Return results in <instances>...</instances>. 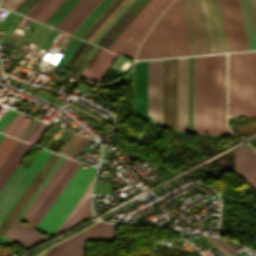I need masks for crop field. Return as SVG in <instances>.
Listing matches in <instances>:
<instances>
[{
    "instance_id": "obj_40",
    "label": "crop field",
    "mask_w": 256,
    "mask_h": 256,
    "mask_svg": "<svg viewBox=\"0 0 256 256\" xmlns=\"http://www.w3.org/2000/svg\"><path fill=\"white\" fill-rule=\"evenodd\" d=\"M90 186H91V183L87 189V191L85 192L84 196L82 199L79 200V202L77 203V205L75 206V208L72 210V212L70 213V215L67 217V219L63 222V224L58 228V230L54 233L57 234L60 232V230L63 228L64 224L66 223V221L70 218V216L77 210V208L83 203V201L86 199V197L89 195V191H90ZM68 222V221H67Z\"/></svg>"
},
{
    "instance_id": "obj_7",
    "label": "crop field",
    "mask_w": 256,
    "mask_h": 256,
    "mask_svg": "<svg viewBox=\"0 0 256 256\" xmlns=\"http://www.w3.org/2000/svg\"><path fill=\"white\" fill-rule=\"evenodd\" d=\"M192 55L212 53L201 0H180Z\"/></svg>"
},
{
    "instance_id": "obj_32",
    "label": "crop field",
    "mask_w": 256,
    "mask_h": 256,
    "mask_svg": "<svg viewBox=\"0 0 256 256\" xmlns=\"http://www.w3.org/2000/svg\"><path fill=\"white\" fill-rule=\"evenodd\" d=\"M49 125L39 122L24 138L23 140L35 144L38 139L46 132Z\"/></svg>"
},
{
    "instance_id": "obj_43",
    "label": "crop field",
    "mask_w": 256,
    "mask_h": 256,
    "mask_svg": "<svg viewBox=\"0 0 256 256\" xmlns=\"http://www.w3.org/2000/svg\"><path fill=\"white\" fill-rule=\"evenodd\" d=\"M18 114V112L12 111L0 124V132H2L5 127L14 119V117Z\"/></svg>"
},
{
    "instance_id": "obj_12",
    "label": "crop field",
    "mask_w": 256,
    "mask_h": 256,
    "mask_svg": "<svg viewBox=\"0 0 256 256\" xmlns=\"http://www.w3.org/2000/svg\"><path fill=\"white\" fill-rule=\"evenodd\" d=\"M177 131L188 132V57L178 58Z\"/></svg>"
},
{
    "instance_id": "obj_14",
    "label": "crop field",
    "mask_w": 256,
    "mask_h": 256,
    "mask_svg": "<svg viewBox=\"0 0 256 256\" xmlns=\"http://www.w3.org/2000/svg\"><path fill=\"white\" fill-rule=\"evenodd\" d=\"M72 162H73V160L64 157V159L61 161V163L56 168L54 173L51 175L49 180L46 182L44 187L41 189L39 194L36 196L34 201L31 203L29 208L26 210L24 215L21 217L20 221H24V222H28V223L31 221L33 216L37 213V211L41 207L44 200L47 198L49 193L55 187L57 182L60 180V178L66 172V170L69 168V166L72 164Z\"/></svg>"
},
{
    "instance_id": "obj_49",
    "label": "crop field",
    "mask_w": 256,
    "mask_h": 256,
    "mask_svg": "<svg viewBox=\"0 0 256 256\" xmlns=\"http://www.w3.org/2000/svg\"><path fill=\"white\" fill-rule=\"evenodd\" d=\"M26 0H22L21 2H20V4L13 10V11H17L19 8H20V6L25 2Z\"/></svg>"
},
{
    "instance_id": "obj_39",
    "label": "crop field",
    "mask_w": 256,
    "mask_h": 256,
    "mask_svg": "<svg viewBox=\"0 0 256 256\" xmlns=\"http://www.w3.org/2000/svg\"><path fill=\"white\" fill-rule=\"evenodd\" d=\"M63 159V156H61V158L58 160V162L56 163V165L53 167V169L51 170V172L48 174V176L46 177V179L43 181V183L41 184V186L38 188V190L36 191V193L33 195V197L31 198V200L28 202V204L26 205V207L23 209V211L20 213V215L18 216L17 220H19V218L22 216V214L25 212V210L28 208V206L30 205V203L33 201V199L35 198V196L38 194V192L40 191V189L43 187V185L45 184V182L48 180V178L50 177V175L53 173V171L55 170V168L58 166V164L60 163V161Z\"/></svg>"
},
{
    "instance_id": "obj_30",
    "label": "crop field",
    "mask_w": 256,
    "mask_h": 256,
    "mask_svg": "<svg viewBox=\"0 0 256 256\" xmlns=\"http://www.w3.org/2000/svg\"><path fill=\"white\" fill-rule=\"evenodd\" d=\"M65 0H51L37 15L35 20L45 23Z\"/></svg>"
},
{
    "instance_id": "obj_35",
    "label": "crop field",
    "mask_w": 256,
    "mask_h": 256,
    "mask_svg": "<svg viewBox=\"0 0 256 256\" xmlns=\"http://www.w3.org/2000/svg\"><path fill=\"white\" fill-rule=\"evenodd\" d=\"M189 132H192V57H189Z\"/></svg>"
},
{
    "instance_id": "obj_18",
    "label": "crop field",
    "mask_w": 256,
    "mask_h": 256,
    "mask_svg": "<svg viewBox=\"0 0 256 256\" xmlns=\"http://www.w3.org/2000/svg\"><path fill=\"white\" fill-rule=\"evenodd\" d=\"M249 50L256 49V0H239Z\"/></svg>"
},
{
    "instance_id": "obj_5",
    "label": "crop field",
    "mask_w": 256,
    "mask_h": 256,
    "mask_svg": "<svg viewBox=\"0 0 256 256\" xmlns=\"http://www.w3.org/2000/svg\"><path fill=\"white\" fill-rule=\"evenodd\" d=\"M171 1L172 0H151L111 44L108 50L133 60L139 44L147 34L151 25Z\"/></svg>"
},
{
    "instance_id": "obj_46",
    "label": "crop field",
    "mask_w": 256,
    "mask_h": 256,
    "mask_svg": "<svg viewBox=\"0 0 256 256\" xmlns=\"http://www.w3.org/2000/svg\"><path fill=\"white\" fill-rule=\"evenodd\" d=\"M38 2V0H32L25 8L24 10L21 12V14L26 15L29 10Z\"/></svg>"
},
{
    "instance_id": "obj_34",
    "label": "crop field",
    "mask_w": 256,
    "mask_h": 256,
    "mask_svg": "<svg viewBox=\"0 0 256 256\" xmlns=\"http://www.w3.org/2000/svg\"><path fill=\"white\" fill-rule=\"evenodd\" d=\"M16 142L17 139L10 138L7 136H5V138L2 140V142L0 143V164Z\"/></svg>"
},
{
    "instance_id": "obj_27",
    "label": "crop field",
    "mask_w": 256,
    "mask_h": 256,
    "mask_svg": "<svg viewBox=\"0 0 256 256\" xmlns=\"http://www.w3.org/2000/svg\"><path fill=\"white\" fill-rule=\"evenodd\" d=\"M90 211V202L89 197L85 200V202L80 206V208L77 210V212L68 220L66 225L64 226V229H67L74 224L82 221L83 219L91 216Z\"/></svg>"
},
{
    "instance_id": "obj_10",
    "label": "crop field",
    "mask_w": 256,
    "mask_h": 256,
    "mask_svg": "<svg viewBox=\"0 0 256 256\" xmlns=\"http://www.w3.org/2000/svg\"><path fill=\"white\" fill-rule=\"evenodd\" d=\"M162 60L148 61V115L161 125Z\"/></svg>"
},
{
    "instance_id": "obj_24",
    "label": "crop field",
    "mask_w": 256,
    "mask_h": 256,
    "mask_svg": "<svg viewBox=\"0 0 256 256\" xmlns=\"http://www.w3.org/2000/svg\"><path fill=\"white\" fill-rule=\"evenodd\" d=\"M115 57H116V54L105 50V52L103 53V55L101 56L97 64L94 66V68L92 69L88 77L100 80V78L103 76V74L105 73V71L107 70V68L112 63Z\"/></svg>"
},
{
    "instance_id": "obj_31",
    "label": "crop field",
    "mask_w": 256,
    "mask_h": 256,
    "mask_svg": "<svg viewBox=\"0 0 256 256\" xmlns=\"http://www.w3.org/2000/svg\"><path fill=\"white\" fill-rule=\"evenodd\" d=\"M86 232H87V229L78 233V234H76V235H74V236H72V237H70V238H68V239H66V240H64V241H62V242H60V243H58V244H56V245H54L53 247L49 248L48 250L44 251L43 253H41L38 256H49L50 254H52V253L62 249L63 247L73 243L74 241L86 236Z\"/></svg>"
},
{
    "instance_id": "obj_21",
    "label": "crop field",
    "mask_w": 256,
    "mask_h": 256,
    "mask_svg": "<svg viewBox=\"0 0 256 256\" xmlns=\"http://www.w3.org/2000/svg\"><path fill=\"white\" fill-rule=\"evenodd\" d=\"M95 0H78L55 28L67 32Z\"/></svg>"
},
{
    "instance_id": "obj_36",
    "label": "crop field",
    "mask_w": 256,
    "mask_h": 256,
    "mask_svg": "<svg viewBox=\"0 0 256 256\" xmlns=\"http://www.w3.org/2000/svg\"><path fill=\"white\" fill-rule=\"evenodd\" d=\"M134 0H129L123 8L114 16V18L105 26V28L96 36V38L92 41V43H96L99 38L108 30V28L117 20V18L126 10V8L133 2Z\"/></svg>"
},
{
    "instance_id": "obj_19",
    "label": "crop field",
    "mask_w": 256,
    "mask_h": 256,
    "mask_svg": "<svg viewBox=\"0 0 256 256\" xmlns=\"http://www.w3.org/2000/svg\"><path fill=\"white\" fill-rule=\"evenodd\" d=\"M237 51L248 50L238 0H227Z\"/></svg>"
},
{
    "instance_id": "obj_22",
    "label": "crop field",
    "mask_w": 256,
    "mask_h": 256,
    "mask_svg": "<svg viewBox=\"0 0 256 256\" xmlns=\"http://www.w3.org/2000/svg\"><path fill=\"white\" fill-rule=\"evenodd\" d=\"M225 85H226V54L221 55V95H220V134L233 136L225 121Z\"/></svg>"
},
{
    "instance_id": "obj_2",
    "label": "crop field",
    "mask_w": 256,
    "mask_h": 256,
    "mask_svg": "<svg viewBox=\"0 0 256 256\" xmlns=\"http://www.w3.org/2000/svg\"><path fill=\"white\" fill-rule=\"evenodd\" d=\"M191 55L179 0L162 14L142 43L137 58Z\"/></svg>"
},
{
    "instance_id": "obj_3",
    "label": "crop field",
    "mask_w": 256,
    "mask_h": 256,
    "mask_svg": "<svg viewBox=\"0 0 256 256\" xmlns=\"http://www.w3.org/2000/svg\"><path fill=\"white\" fill-rule=\"evenodd\" d=\"M228 115H256V52L229 54Z\"/></svg>"
},
{
    "instance_id": "obj_29",
    "label": "crop field",
    "mask_w": 256,
    "mask_h": 256,
    "mask_svg": "<svg viewBox=\"0 0 256 256\" xmlns=\"http://www.w3.org/2000/svg\"><path fill=\"white\" fill-rule=\"evenodd\" d=\"M25 115L19 113L3 133L17 137L29 122L22 120Z\"/></svg>"
},
{
    "instance_id": "obj_6",
    "label": "crop field",
    "mask_w": 256,
    "mask_h": 256,
    "mask_svg": "<svg viewBox=\"0 0 256 256\" xmlns=\"http://www.w3.org/2000/svg\"><path fill=\"white\" fill-rule=\"evenodd\" d=\"M50 155L51 152L42 149L28 169L16 168L0 191V223Z\"/></svg>"
},
{
    "instance_id": "obj_48",
    "label": "crop field",
    "mask_w": 256,
    "mask_h": 256,
    "mask_svg": "<svg viewBox=\"0 0 256 256\" xmlns=\"http://www.w3.org/2000/svg\"><path fill=\"white\" fill-rule=\"evenodd\" d=\"M103 52H104V49H102V51L100 52V54L98 55V57L96 58V60L94 61V63L91 65V67L89 68V70H88L87 73L85 74V77H87V75L89 74V72L91 71V69L93 68V66L95 65V63L98 61V59L100 58V56L102 55Z\"/></svg>"
},
{
    "instance_id": "obj_1",
    "label": "crop field",
    "mask_w": 256,
    "mask_h": 256,
    "mask_svg": "<svg viewBox=\"0 0 256 256\" xmlns=\"http://www.w3.org/2000/svg\"><path fill=\"white\" fill-rule=\"evenodd\" d=\"M220 55L193 57V131L219 133Z\"/></svg>"
},
{
    "instance_id": "obj_47",
    "label": "crop field",
    "mask_w": 256,
    "mask_h": 256,
    "mask_svg": "<svg viewBox=\"0 0 256 256\" xmlns=\"http://www.w3.org/2000/svg\"><path fill=\"white\" fill-rule=\"evenodd\" d=\"M89 141H90V140L87 139L71 157L74 158V157L85 147V145H86Z\"/></svg>"
},
{
    "instance_id": "obj_25",
    "label": "crop field",
    "mask_w": 256,
    "mask_h": 256,
    "mask_svg": "<svg viewBox=\"0 0 256 256\" xmlns=\"http://www.w3.org/2000/svg\"><path fill=\"white\" fill-rule=\"evenodd\" d=\"M86 237L75 243L63 248L51 256H85Z\"/></svg>"
},
{
    "instance_id": "obj_51",
    "label": "crop field",
    "mask_w": 256,
    "mask_h": 256,
    "mask_svg": "<svg viewBox=\"0 0 256 256\" xmlns=\"http://www.w3.org/2000/svg\"><path fill=\"white\" fill-rule=\"evenodd\" d=\"M4 138V135H1L0 134V142H1V140Z\"/></svg>"
},
{
    "instance_id": "obj_50",
    "label": "crop field",
    "mask_w": 256,
    "mask_h": 256,
    "mask_svg": "<svg viewBox=\"0 0 256 256\" xmlns=\"http://www.w3.org/2000/svg\"><path fill=\"white\" fill-rule=\"evenodd\" d=\"M31 0H28L22 7H21V9L18 11V13H20L22 10H23V8L30 2Z\"/></svg>"
},
{
    "instance_id": "obj_8",
    "label": "crop field",
    "mask_w": 256,
    "mask_h": 256,
    "mask_svg": "<svg viewBox=\"0 0 256 256\" xmlns=\"http://www.w3.org/2000/svg\"><path fill=\"white\" fill-rule=\"evenodd\" d=\"M177 58L163 60L162 127L176 130Z\"/></svg>"
},
{
    "instance_id": "obj_52",
    "label": "crop field",
    "mask_w": 256,
    "mask_h": 256,
    "mask_svg": "<svg viewBox=\"0 0 256 256\" xmlns=\"http://www.w3.org/2000/svg\"><path fill=\"white\" fill-rule=\"evenodd\" d=\"M5 2V0H2L1 5Z\"/></svg>"
},
{
    "instance_id": "obj_26",
    "label": "crop field",
    "mask_w": 256,
    "mask_h": 256,
    "mask_svg": "<svg viewBox=\"0 0 256 256\" xmlns=\"http://www.w3.org/2000/svg\"><path fill=\"white\" fill-rule=\"evenodd\" d=\"M115 225L98 222L89 227L88 236L114 237Z\"/></svg>"
},
{
    "instance_id": "obj_20",
    "label": "crop field",
    "mask_w": 256,
    "mask_h": 256,
    "mask_svg": "<svg viewBox=\"0 0 256 256\" xmlns=\"http://www.w3.org/2000/svg\"><path fill=\"white\" fill-rule=\"evenodd\" d=\"M96 1H97V0H96ZM96 1H95V2H96ZM98 1H99V0H98ZM98 1H97V2H98ZM112 1H113V0H100L98 3L96 2L97 4L94 2L96 5H95L94 3H93V4H94L95 6L92 4L94 7L91 5V6L93 7V9H92V7H91L92 10L89 8L91 11L88 9L90 12L87 10L89 13L86 11L88 14L85 12V13L87 14V15H86V14L84 13L86 16L83 14L85 17L82 15V16L84 17V19H83V17L81 16L83 20L80 18L82 21L79 19L81 22L78 20L80 23L77 21L79 24L76 22L78 25H77L76 23H75V24H76L77 26L74 24L76 27L73 25V26L75 27V29H74V27L72 26L73 29H74V30H73V29L71 28L73 31L70 29L72 32L69 30V31L71 32V34H73V35H75V36H77V37L80 38V37L82 36V34L90 27V25L99 17V15L107 8V6H108ZM69 31H68V32H69ZM68 32H67V33H68ZM70 32H69V33H70ZM71 34H70V35H71Z\"/></svg>"
},
{
    "instance_id": "obj_16",
    "label": "crop field",
    "mask_w": 256,
    "mask_h": 256,
    "mask_svg": "<svg viewBox=\"0 0 256 256\" xmlns=\"http://www.w3.org/2000/svg\"><path fill=\"white\" fill-rule=\"evenodd\" d=\"M213 53L225 52L215 0H202Z\"/></svg>"
},
{
    "instance_id": "obj_37",
    "label": "crop field",
    "mask_w": 256,
    "mask_h": 256,
    "mask_svg": "<svg viewBox=\"0 0 256 256\" xmlns=\"http://www.w3.org/2000/svg\"><path fill=\"white\" fill-rule=\"evenodd\" d=\"M209 238L211 240H213L217 245H219L223 250H225L228 254L231 255V254L237 252V250H235L233 247H231L229 244H227L222 239L216 238V237H209Z\"/></svg>"
},
{
    "instance_id": "obj_9",
    "label": "crop field",
    "mask_w": 256,
    "mask_h": 256,
    "mask_svg": "<svg viewBox=\"0 0 256 256\" xmlns=\"http://www.w3.org/2000/svg\"><path fill=\"white\" fill-rule=\"evenodd\" d=\"M78 164L77 161H74V163L71 165V167L68 169V171L65 173V175L62 177V179L59 181V183L56 185V187L53 189L51 194L48 196V198L43 203L42 207L38 211L37 215L34 217V219L31 221V223L26 226L24 224L19 223L18 221H15L9 231L6 233L5 236L15 240L20 245H22L24 248L29 249L42 241L46 240L47 238L39 234L38 232L31 229L35 221L38 217L41 216L49 202L52 200L54 195L57 193V191L60 189L62 184L65 182L67 177L70 175V173L73 171L75 166ZM39 219V218H38ZM14 241V242H15ZM17 243V244H18Z\"/></svg>"
},
{
    "instance_id": "obj_33",
    "label": "crop field",
    "mask_w": 256,
    "mask_h": 256,
    "mask_svg": "<svg viewBox=\"0 0 256 256\" xmlns=\"http://www.w3.org/2000/svg\"><path fill=\"white\" fill-rule=\"evenodd\" d=\"M79 43L80 40L73 38L68 47L66 48V50L64 51V53L62 54L61 58L57 62V65L64 67V65L66 64V62L68 61V59L70 58V56L72 55V53L74 52Z\"/></svg>"
},
{
    "instance_id": "obj_23",
    "label": "crop field",
    "mask_w": 256,
    "mask_h": 256,
    "mask_svg": "<svg viewBox=\"0 0 256 256\" xmlns=\"http://www.w3.org/2000/svg\"><path fill=\"white\" fill-rule=\"evenodd\" d=\"M218 5L220 10L227 50L228 52L236 51L232 29L230 25V20H229V15H228V10H227V5H226V0H218Z\"/></svg>"
},
{
    "instance_id": "obj_4",
    "label": "crop field",
    "mask_w": 256,
    "mask_h": 256,
    "mask_svg": "<svg viewBox=\"0 0 256 256\" xmlns=\"http://www.w3.org/2000/svg\"><path fill=\"white\" fill-rule=\"evenodd\" d=\"M83 163L73 175L69 183L61 192L59 197L53 203L51 208L36 226V230L51 236L53 232L59 227V225L69 215L82 193L86 189L87 185L91 181L96 168L88 167L87 170L81 169Z\"/></svg>"
},
{
    "instance_id": "obj_44",
    "label": "crop field",
    "mask_w": 256,
    "mask_h": 256,
    "mask_svg": "<svg viewBox=\"0 0 256 256\" xmlns=\"http://www.w3.org/2000/svg\"><path fill=\"white\" fill-rule=\"evenodd\" d=\"M21 0H6L3 6L13 10ZM20 4V3H19ZM18 4V5H19Z\"/></svg>"
},
{
    "instance_id": "obj_15",
    "label": "crop field",
    "mask_w": 256,
    "mask_h": 256,
    "mask_svg": "<svg viewBox=\"0 0 256 256\" xmlns=\"http://www.w3.org/2000/svg\"><path fill=\"white\" fill-rule=\"evenodd\" d=\"M234 155L235 173L256 188V153L242 145Z\"/></svg>"
},
{
    "instance_id": "obj_13",
    "label": "crop field",
    "mask_w": 256,
    "mask_h": 256,
    "mask_svg": "<svg viewBox=\"0 0 256 256\" xmlns=\"http://www.w3.org/2000/svg\"><path fill=\"white\" fill-rule=\"evenodd\" d=\"M149 1L150 0H135L100 38L96 45L107 49Z\"/></svg>"
},
{
    "instance_id": "obj_41",
    "label": "crop field",
    "mask_w": 256,
    "mask_h": 256,
    "mask_svg": "<svg viewBox=\"0 0 256 256\" xmlns=\"http://www.w3.org/2000/svg\"><path fill=\"white\" fill-rule=\"evenodd\" d=\"M128 0H124L119 7L110 15V17L101 25V27L92 35V37L88 40L91 42L95 36L104 28V26L113 18V16L122 8V6L127 2Z\"/></svg>"
},
{
    "instance_id": "obj_38",
    "label": "crop field",
    "mask_w": 256,
    "mask_h": 256,
    "mask_svg": "<svg viewBox=\"0 0 256 256\" xmlns=\"http://www.w3.org/2000/svg\"><path fill=\"white\" fill-rule=\"evenodd\" d=\"M50 0H40L27 14V16L31 18H35L36 15L43 9V7L49 2ZM26 16V17H27Z\"/></svg>"
},
{
    "instance_id": "obj_45",
    "label": "crop field",
    "mask_w": 256,
    "mask_h": 256,
    "mask_svg": "<svg viewBox=\"0 0 256 256\" xmlns=\"http://www.w3.org/2000/svg\"><path fill=\"white\" fill-rule=\"evenodd\" d=\"M38 123V121H34L31 123L24 129V131L18 136V138L22 139L36 124Z\"/></svg>"
},
{
    "instance_id": "obj_42",
    "label": "crop field",
    "mask_w": 256,
    "mask_h": 256,
    "mask_svg": "<svg viewBox=\"0 0 256 256\" xmlns=\"http://www.w3.org/2000/svg\"><path fill=\"white\" fill-rule=\"evenodd\" d=\"M79 164L76 166V168L74 169V171L71 173V175L68 177V179L66 180V182L63 184V186L61 187V189L58 191V193L56 194V196L53 198V200L50 202V204L48 205V207L46 208V210L44 211V213L42 214V216L36 221V223L33 226V229L35 228V226L38 224V222L41 220V218L43 217V215L46 213V211L49 209V207L52 205V203L55 201V199L57 198V196L60 194V192L62 191V189L65 187V185L67 184V182L69 181V179L71 178V176L74 174V172L76 171V169L78 168Z\"/></svg>"
},
{
    "instance_id": "obj_17",
    "label": "crop field",
    "mask_w": 256,
    "mask_h": 256,
    "mask_svg": "<svg viewBox=\"0 0 256 256\" xmlns=\"http://www.w3.org/2000/svg\"><path fill=\"white\" fill-rule=\"evenodd\" d=\"M30 148L31 145L20 140L15 144L13 149L0 165V189Z\"/></svg>"
},
{
    "instance_id": "obj_11",
    "label": "crop field",
    "mask_w": 256,
    "mask_h": 256,
    "mask_svg": "<svg viewBox=\"0 0 256 256\" xmlns=\"http://www.w3.org/2000/svg\"><path fill=\"white\" fill-rule=\"evenodd\" d=\"M60 158V155L52 153V155L49 157L47 162L44 164V166L41 168L39 173L36 175L34 180L31 182L29 187L26 189L24 194L21 196V198L18 200L16 205L13 207V209L10 211V213L7 215V217L4 219V221L0 225V232L5 235L7 230L10 228L16 217L19 215V213L22 211V209L25 207L27 202L30 200L32 195L35 193L37 188L40 186L42 181L45 179L47 174L50 172L52 167L55 165L57 160Z\"/></svg>"
},
{
    "instance_id": "obj_28",
    "label": "crop field",
    "mask_w": 256,
    "mask_h": 256,
    "mask_svg": "<svg viewBox=\"0 0 256 256\" xmlns=\"http://www.w3.org/2000/svg\"><path fill=\"white\" fill-rule=\"evenodd\" d=\"M86 137L74 134L66 144L58 151V153L70 157L73 152L82 144Z\"/></svg>"
}]
</instances>
